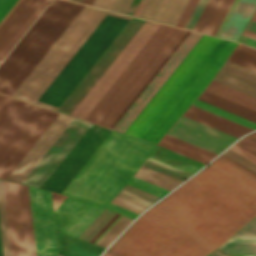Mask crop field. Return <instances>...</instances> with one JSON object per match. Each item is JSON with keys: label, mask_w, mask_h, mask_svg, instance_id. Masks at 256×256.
Wrapping results in <instances>:
<instances>
[{"label": "crop field", "mask_w": 256, "mask_h": 256, "mask_svg": "<svg viewBox=\"0 0 256 256\" xmlns=\"http://www.w3.org/2000/svg\"><path fill=\"white\" fill-rule=\"evenodd\" d=\"M256 215V175L220 155L140 216L114 256H205Z\"/></svg>", "instance_id": "1"}, {"label": "crop field", "mask_w": 256, "mask_h": 256, "mask_svg": "<svg viewBox=\"0 0 256 256\" xmlns=\"http://www.w3.org/2000/svg\"><path fill=\"white\" fill-rule=\"evenodd\" d=\"M185 32L161 24L85 120L109 128ZM201 36L186 32L110 129L125 131Z\"/></svg>", "instance_id": "2"}, {"label": "crop field", "mask_w": 256, "mask_h": 256, "mask_svg": "<svg viewBox=\"0 0 256 256\" xmlns=\"http://www.w3.org/2000/svg\"><path fill=\"white\" fill-rule=\"evenodd\" d=\"M210 36L203 35L202 38L197 42L193 49L188 53L180 65L175 69L171 76L166 80L162 87L157 91L153 98L148 102L140 114L135 118L131 125L126 129L125 133L132 134V132L137 128L141 121L146 117L150 110L155 106L159 99L164 95L168 88L173 84L177 77L182 73L186 66L191 62L195 55L200 51L204 44L209 40ZM219 38L211 37L210 40L205 44L201 51L196 55L192 62L187 66L183 73L178 77L174 84L169 88L165 95L160 99L156 106L151 110L147 117L142 121L138 128L133 132V136L141 138L146 130L151 126L163 109L168 105L180 88L185 84L193 72L198 68L210 51L219 42ZM227 40L221 39L216 47L211 51L199 68L194 72L182 89L177 93L169 105L164 109L152 126L143 135L142 139L148 140L153 132L158 128L170 111L175 107L187 90L192 86L200 74L205 70L217 53L226 44ZM237 43L228 41L223 49L218 53L206 70L201 74L189 91L184 95L176 107L171 111L159 128L150 137L149 141L157 143L160 137L165 133V131L172 125V123L181 115V113L191 104V102L196 98V96L204 89V87L210 82L217 70L220 68L222 63L228 57L230 52L236 46Z\"/></svg>", "instance_id": "3"}, {"label": "crop field", "mask_w": 256, "mask_h": 256, "mask_svg": "<svg viewBox=\"0 0 256 256\" xmlns=\"http://www.w3.org/2000/svg\"><path fill=\"white\" fill-rule=\"evenodd\" d=\"M154 146L112 131L62 193L105 206Z\"/></svg>", "instance_id": "4"}, {"label": "crop field", "mask_w": 256, "mask_h": 256, "mask_svg": "<svg viewBox=\"0 0 256 256\" xmlns=\"http://www.w3.org/2000/svg\"><path fill=\"white\" fill-rule=\"evenodd\" d=\"M82 6L66 0H53L46 7L0 64V92L12 94Z\"/></svg>", "instance_id": "5"}, {"label": "crop field", "mask_w": 256, "mask_h": 256, "mask_svg": "<svg viewBox=\"0 0 256 256\" xmlns=\"http://www.w3.org/2000/svg\"><path fill=\"white\" fill-rule=\"evenodd\" d=\"M107 12L84 5L12 96L35 103Z\"/></svg>", "instance_id": "6"}, {"label": "crop field", "mask_w": 256, "mask_h": 256, "mask_svg": "<svg viewBox=\"0 0 256 256\" xmlns=\"http://www.w3.org/2000/svg\"><path fill=\"white\" fill-rule=\"evenodd\" d=\"M22 100L0 94V129ZM58 112L23 101L0 130V178L5 179Z\"/></svg>", "instance_id": "7"}, {"label": "crop field", "mask_w": 256, "mask_h": 256, "mask_svg": "<svg viewBox=\"0 0 256 256\" xmlns=\"http://www.w3.org/2000/svg\"><path fill=\"white\" fill-rule=\"evenodd\" d=\"M130 18L109 11L36 104L56 110Z\"/></svg>", "instance_id": "8"}, {"label": "crop field", "mask_w": 256, "mask_h": 256, "mask_svg": "<svg viewBox=\"0 0 256 256\" xmlns=\"http://www.w3.org/2000/svg\"><path fill=\"white\" fill-rule=\"evenodd\" d=\"M110 132L90 123L40 188L61 193Z\"/></svg>", "instance_id": "9"}, {"label": "crop field", "mask_w": 256, "mask_h": 256, "mask_svg": "<svg viewBox=\"0 0 256 256\" xmlns=\"http://www.w3.org/2000/svg\"><path fill=\"white\" fill-rule=\"evenodd\" d=\"M144 22L145 20L134 17L131 18V20L126 24V26L108 46L104 53L99 57L95 64L90 68V70L85 74V76L67 96L63 103L58 107L57 111L67 114L70 113V111L75 107V105L105 71V69L129 42V40L133 37V35L138 31Z\"/></svg>", "instance_id": "10"}, {"label": "crop field", "mask_w": 256, "mask_h": 256, "mask_svg": "<svg viewBox=\"0 0 256 256\" xmlns=\"http://www.w3.org/2000/svg\"><path fill=\"white\" fill-rule=\"evenodd\" d=\"M36 256H57L50 192L29 187Z\"/></svg>", "instance_id": "11"}, {"label": "crop field", "mask_w": 256, "mask_h": 256, "mask_svg": "<svg viewBox=\"0 0 256 256\" xmlns=\"http://www.w3.org/2000/svg\"><path fill=\"white\" fill-rule=\"evenodd\" d=\"M88 124L89 122L73 118L22 183L39 187Z\"/></svg>", "instance_id": "12"}, {"label": "crop field", "mask_w": 256, "mask_h": 256, "mask_svg": "<svg viewBox=\"0 0 256 256\" xmlns=\"http://www.w3.org/2000/svg\"><path fill=\"white\" fill-rule=\"evenodd\" d=\"M167 134L218 154L237 137L198 123L183 116L173 124Z\"/></svg>", "instance_id": "13"}, {"label": "crop field", "mask_w": 256, "mask_h": 256, "mask_svg": "<svg viewBox=\"0 0 256 256\" xmlns=\"http://www.w3.org/2000/svg\"><path fill=\"white\" fill-rule=\"evenodd\" d=\"M104 209L67 197L54 211L55 228L78 237Z\"/></svg>", "instance_id": "14"}, {"label": "crop field", "mask_w": 256, "mask_h": 256, "mask_svg": "<svg viewBox=\"0 0 256 256\" xmlns=\"http://www.w3.org/2000/svg\"><path fill=\"white\" fill-rule=\"evenodd\" d=\"M3 191L12 256H26L18 184L4 181Z\"/></svg>", "instance_id": "15"}, {"label": "crop field", "mask_w": 256, "mask_h": 256, "mask_svg": "<svg viewBox=\"0 0 256 256\" xmlns=\"http://www.w3.org/2000/svg\"><path fill=\"white\" fill-rule=\"evenodd\" d=\"M72 117L59 113L30 151L19 162L6 179L21 183L36 162L62 132Z\"/></svg>", "instance_id": "16"}, {"label": "crop field", "mask_w": 256, "mask_h": 256, "mask_svg": "<svg viewBox=\"0 0 256 256\" xmlns=\"http://www.w3.org/2000/svg\"><path fill=\"white\" fill-rule=\"evenodd\" d=\"M189 0H148L140 17L175 26Z\"/></svg>", "instance_id": "17"}, {"label": "crop field", "mask_w": 256, "mask_h": 256, "mask_svg": "<svg viewBox=\"0 0 256 256\" xmlns=\"http://www.w3.org/2000/svg\"><path fill=\"white\" fill-rule=\"evenodd\" d=\"M159 25H160L159 23H155V22L152 23V25L148 28V30L143 34V36L139 39V41L135 44V46L130 50V52L126 55V57L122 60V62L117 66V68L113 71V73L109 76V78L104 82V84L100 87V89L96 92V94L91 98V100L83 108V110L78 114L77 116L78 118H82V119L85 118V116L94 107V105L98 102V100L102 97V95L107 91V89L111 86V84L115 81V79L120 75V73L124 70V68L128 65V63L133 59V57L137 54V52L141 49V47L146 43V41L150 38V36L154 33V31L159 27Z\"/></svg>", "instance_id": "18"}, {"label": "crop field", "mask_w": 256, "mask_h": 256, "mask_svg": "<svg viewBox=\"0 0 256 256\" xmlns=\"http://www.w3.org/2000/svg\"><path fill=\"white\" fill-rule=\"evenodd\" d=\"M183 116L235 135L237 137L252 130L193 105H191V107L183 114Z\"/></svg>", "instance_id": "19"}, {"label": "crop field", "mask_w": 256, "mask_h": 256, "mask_svg": "<svg viewBox=\"0 0 256 256\" xmlns=\"http://www.w3.org/2000/svg\"><path fill=\"white\" fill-rule=\"evenodd\" d=\"M255 8L256 0H240L221 37L237 40Z\"/></svg>", "instance_id": "20"}, {"label": "crop field", "mask_w": 256, "mask_h": 256, "mask_svg": "<svg viewBox=\"0 0 256 256\" xmlns=\"http://www.w3.org/2000/svg\"><path fill=\"white\" fill-rule=\"evenodd\" d=\"M152 22L146 21L145 24L140 28V30L135 34V36L130 40V42L125 46V48L120 52V54L115 58V60L110 64V66L106 69V71L101 75V77L96 81V83L91 87V89L86 93V95L82 98V100L77 104V106L73 109L70 115L76 117L77 114L81 111V109L86 105V103L90 100V98L94 95V93L99 89V87L103 84V82L107 79V77L112 73V71L116 68V66L120 63V61L125 57V55L129 52V50L133 47V45L138 41V39L142 36V34L146 31V29L151 25Z\"/></svg>", "instance_id": "21"}, {"label": "crop field", "mask_w": 256, "mask_h": 256, "mask_svg": "<svg viewBox=\"0 0 256 256\" xmlns=\"http://www.w3.org/2000/svg\"><path fill=\"white\" fill-rule=\"evenodd\" d=\"M40 0H22L0 26V49Z\"/></svg>", "instance_id": "22"}, {"label": "crop field", "mask_w": 256, "mask_h": 256, "mask_svg": "<svg viewBox=\"0 0 256 256\" xmlns=\"http://www.w3.org/2000/svg\"><path fill=\"white\" fill-rule=\"evenodd\" d=\"M60 256H98L103 248L56 232Z\"/></svg>", "instance_id": "23"}, {"label": "crop field", "mask_w": 256, "mask_h": 256, "mask_svg": "<svg viewBox=\"0 0 256 256\" xmlns=\"http://www.w3.org/2000/svg\"><path fill=\"white\" fill-rule=\"evenodd\" d=\"M149 158L172 166L189 174L193 173L195 170L203 165L182 155L174 153L170 150L162 148L158 145H156Z\"/></svg>", "instance_id": "24"}, {"label": "crop field", "mask_w": 256, "mask_h": 256, "mask_svg": "<svg viewBox=\"0 0 256 256\" xmlns=\"http://www.w3.org/2000/svg\"><path fill=\"white\" fill-rule=\"evenodd\" d=\"M159 145L206 163L216 154L165 134Z\"/></svg>", "instance_id": "25"}, {"label": "crop field", "mask_w": 256, "mask_h": 256, "mask_svg": "<svg viewBox=\"0 0 256 256\" xmlns=\"http://www.w3.org/2000/svg\"><path fill=\"white\" fill-rule=\"evenodd\" d=\"M205 91L256 110V98L211 81Z\"/></svg>", "instance_id": "26"}, {"label": "crop field", "mask_w": 256, "mask_h": 256, "mask_svg": "<svg viewBox=\"0 0 256 256\" xmlns=\"http://www.w3.org/2000/svg\"><path fill=\"white\" fill-rule=\"evenodd\" d=\"M198 99L256 122V111L203 91Z\"/></svg>", "instance_id": "27"}, {"label": "crop field", "mask_w": 256, "mask_h": 256, "mask_svg": "<svg viewBox=\"0 0 256 256\" xmlns=\"http://www.w3.org/2000/svg\"><path fill=\"white\" fill-rule=\"evenodd\" d=\"M19 188H20V196H21L23 221H24L27 255L28 256H35L33 233H32V224H31V216H30V207H29V198H28V190H27L26 185H20L19 184Z\"/></svg>", "instance_id": "28"}, {"label": "crop field", "mask_w": 256, "mask_h": 256, "mask_svg": "<svg viewBox=\"0 0 256 256\" xmlns=\"http://www.w3.org/2000/svg\"><path fill=\"white\" fill-rule=\"evenodd\" d=\"M116 197L128 201L132 204L140 206L144 209L154 203L159 197L150 193L137 189L126 184L124 188L116 195Z\"/></svg>", "instance_id": "29"}, {"label": "crop field", "mask_w": 256, "mask_h": 256, "mask_svg": "<svg viewBox=\"0 0 256 256\" xmlns=\"http://www.w3.org/2000/svg\"><path fill=\"white\" fill-rule=\"evenodd\" d=\"M134 177L170 191L181 181L141 166Z\"/></svg>", "instance_id": "30"}, {"label": "crop field", "mask_w": 256, "mask_h": 256, "mask_svg": "<svg viewBox=\"0 0 256 256\" xmlns=\"http://www.w3.org/2000/svg\"><path fill=\"white\" fill-rule=\"evenodd\" d=\"M213 81L256 97V85L219 70Z\"/></svg>", "instance_id": "31"}, {"label": "crop field", "mask_w": 256, "mask_h": 256, "mask_svg": "<svg viewBox=\"0 0 256 256\" xmlns=\"http://www.w3.org/2000/svg\"><path fill=\"white\" fill-rule=\"evenodd\" d=\"M49 1L50 0H41L39 4L34 8V10L26 18V20L21 24V26L17 29V31L13 34V36L8 40V42L0 50V60L3 59V57L12 48V46L16 43V41L20 38V36L29 27V25L33 22V20L37 17V15L41 12V10L46 6V4Z\"/></svg>", "instance_id": "32"}, {"label": "crop field", "mask_w": 256, "mask_h": 256, "mask_svg": "<svg viewBox=\"0 0 256 256\" xmlns=\"http://www.w3.org/2000/svg\"><path fill=\"white\" fill-rule=\"evenodd\" d=\"M228 60L256 71V50L238 44Z\"/></svg>", "instance_id": "33"}, {"label": "crop field", "mask_w": 256, "mask_h": 256, "mask_svg": "<svg viewBox=\"0 0 256 256\" xmlns=\"http://www.w3.org/2000/svg\"><path fill=\"white\" fill-rule=\"evenodd\" d=\"M193 105L198 106V107H200V108H203V109H205V110H208V111H210V112H213V113H215V114H218V115H220V116H223V117H225V118H227V119H230V120H232V121H235V122H237V123H240V124H242V125H245V126H247V127H250V128H252V129H255V128H256V123H255V122H252V121H250V120H247V119H245V118H242V117H240V116H237V115H235V114H232V113H230V112H228V111H225V110H223V109H220V108H218V107H215V106H213V105H210V104H208V103H205V102L200 101V100H198V99L195 100V102L193 103Z\"/></svg>", "instance_id": "34"}, {"label": "crop field", "mask_w": 256, "mask_h": 256, "mask_svg": "<svg viewBox=\"0 0 256 256\" xmlns=\"http://www.w3.org/2000/svg\"><path fill=\"white\" fill-rule=\"evenodd\" d=\"M115 212L104 210L92 224L79 236L88 242L102 229V227L111 219Z\"/></svg>", "instance_id": "35"}, {"label": "crop field", "mask_w": 256, "mask_h": 256, "mask_svg": "<svg viewBox=\"0 0 256 256\" xmlns=\"http://www.w3.org/2000/svg\"><path fill=\"white\" fill-rule=\"evenodd\" d=\"M218 250L224 253L256 254V243L227 241Z\"/></svg>", "instance_id": "36"}, {"label": "crop field", "mask_w": 256, "mask_h": 256, "mask_svg": "<svg viewBox=\"0 0 256 256\" xmlns=\"http://www.w3.org/2000/svg\"><path fill=\"white\" fill-rule=\"evenodd\" d=\"M221 70L256 84V72L226 60Z\"/></svg>", "instance_id": "37"}, {"label": "crop field", "mask_w": 256, "mask_h": 256, "mask_svg": "<svg viewBox=\"0 0 256 256\" xmlns=\"http://www.w3.org/2000/svg\"><path fill=\"white\" fill-rule=\"evenodd\" d=\"M143 166L148 167L153 170H156V171L166 174L168 176L174 177L181 181L185 180L189 176V174H187V173H184V172L174 169L172 167L166 166L164 164H161V163L151 160L149 158H147V160L144 162Z\"/></svg>", "instance_id": "38"}, {"label": "crop field", "mask_w": 256, "mask_h": 256, "mask_svg": "<svg viewBox=\"0 0 256 256\" xmlns=\"http://www.w3.org/2000/svg\"><path fill=\"white\" fill-rule=\"evenodd\" d=\"M0 227H1V236H2L4 256H11L1 180H0Z\"/></svg>", "instance_id": "39"}, {"label": "crop field", "mask_w": 256, "mask_h": 256, "mask_svg": "<svg viewBox=\"0 0 256 256\" xmlns=\"http://www.w3.org/2000/svg\"><path fill=\"white\" fill-rule=\"evenodd\" d=\"M220 0H209L202 14L200 15L193 30L204 33L213 13L215 12Z\"/></svg>", "instance_id": "40"}, {"label": "crop field", "mask_w": 256, "mask_h": 256, "mask_svg": "<svg viewBox=\"0 0 256 256\" xmlns=\"http://www.w3.org/2000/svg\"><path fill=\"white\" fill-rule=\"evenodd\" d=\"M132 220L122 216L116 224L103 236L97 243L103 247H107L109 243L131 222Z\"/></svg>", "instance_id": "41"}, {"label": "crop field", "mask_w": 256, "mask_h": 256, "mask_svg": "<svg viewBox=\"0 0 256 256\" xmlns=\"http://www.w3.org/2000/svg\"><path fill=\"white\" fill-rule=\"evenodd\" d=\"M232 0H221L215 14L213 15L205 33L214 35L218 25L220 24L223 16L225 15Z\"/></svg>", "instance_id": "42"}, {"label": "crop field", "mask_w": 256, "mask_h": 256, "mask_svg": "<svg viewBox=\"0 0 256 256\" xmlns=\"http://www.w3.org/2000/svg\"><path fill=\"white\" fill-rule=\"evenodd\" d=\"M228 240L256 241V217L253 218Z\"/></svg>", "instance_id": "43"}, {"label": "crop field", "mask_w": 256, "mask_h": 256, "mask_svg": "<svg viewBox=\"0 0 256 256\" xmlns=\"http://www.w3.org/2000/svg\"><path fill=\"white\" fill-rule=\"evenodd\" d=\"M222 155L226 156L227 158L233 160L234 162L256 174V164L243 157L242 155L238 154L234 150L229 148Z\"/></svg>", "instance_id": "44"}, {"label": "crop field", "mask_w": 256, "mask_h": 256, "mask_svg": "<svg viewBox=\"0 0 256 256\" xmlns=\"http://www.w3.org/2000/svg\"><path fill=\"white\" fill-rule=\"evenodd\" d=\"M128 184H130V185H133V186H135V187H137V188H140V189H142V190H145V191H147V192H150V193H152V194H154V195H157V196H159V197H161V196H163L164 194H166L168 191H166V190H163V189H161V188H158V187H156V186H153V185H151V184H149V183H146V182H144V181H141V180H139V179H136V178H134V177H132L131 179H130V181L128 182Z\"/></svg>", "instance_id": "45"}, {"label": "crop field", "mask_w": 256, "mask_h": 256, "mask_svg": "<svg viewBox=\"0 0 256 256\" xmlns=\"http://www.w3.org/2000/svg\"><path fill=\"white\" fill-rule=\"evenodd\" d=\"M207 0H199L193 13L191 14L185 28L186 29H190L192 30L196 20L198 19L202 9L204 8L205 4H206ZM184 28V27H183Z\"/></svg>", "instance_id": "46"}, {"label": "crop field", "mask_w": 256, "mask_h": 256, "mask_svg": "<svg viewBox=\"0 0 256 256\" xmlns=\"http://www.w3.org/2000/svg\"><path fill=\"white\" fill-rule=\"evenodd\" d=\"M198 0H190L177 26L184 27ZM176 26V25H175Z\"/></svg>", "instance_id": "47"}, {"label": "crop field", "mask_w": 256, "mask_h": 256, "mask_svg": "<svg viewBox=\"0 0 256 256\" xmlns=\"http://www.w3.org/2000/svg\"><path fill=\"white\" fill-rule=\"evenodd\" d=\"M238 1H239V0H233L231 6L229 7V9H228L226 15H225L224 18H223V20H222L220 26L218 27V29H217V31H216V33H215V36H218V37H219L220 34L222 33V31H223V29H224L226 23L228 22V20H229L231 14H232V12L234 11V9H235V7H236Z\"/></svg>", "instance_id": "48"}, {"label": "crop field", "mask_w": 256, "mask_h": 256, "mask_svg": "<svg viewBox=\"0 0 256 256\" xmlns=\"http://www.w3.org/2000/svg\"><path fill=\"white\" fill-rule=\"evenodd\" d=\"M111 203L116 204V205H118V206H120V207H123V208H125V209H128V210H130V211H132V212H135V213H137V214H140V213L144 210V209H142V208H140V207H137V206H135V205H132V204H130V203H128V202H125V201H123V200H120V199H118V198H116V197L113 198V200L111 201Z\"/></svg>", "instance_id": "49"}, {"label": "crop field", "mask_w": 256, "mask_h": 256, "mask_svg": "<svg viewBox=\"0 0 256 256\" xmlns=\"http://www.w3.org/2000/svg\"><path fill=\"white\" fill-rule=\"evenodd\" d=\"M131 0H114L110 9L125 13Z\"/></svg>", "instance_id": "50"}, {"label": "crop field", "mask_w": 256, "mask_h": 256, "mask_svg": "<svg viewBox=\"0 0 256 256\" xmlns=\"http://www.w3.org/2000/svg\"><path fill=\"white\" fill-rule=\"evenodd\" d=\"M16 1L17 0H0V20Z\"/></svg>", "instance_id": "51"}, {"label": "crop field", "mask_w": 256, "mask_h": 256, "mask_svg": "<svg viewBox=\"0 0 256 256\" xmlns=\"http://www.w3.org/2000/svg\"><path fill=\"white\" fill-rule=\"evenodd\" d=\"M106 207H108V208H110V209H112L114 211H117V212H119V213H121L123 215H126V216H128V217H130L132 219H134L137 216V214L132 213V212H130L128 210H125L123 208H120V207H118L116 205H113L111 203H109Z\"/></svg>", "instance_id": "52"}, {"label": "crop field", "mask_w": 256, "mask_h": 256, "mask_svg": "<svg viewBox=\"0 0 256 256\" xmlns=\"http://www.w3.org/2000/svg\"><path fill=\"white\" fill-rule=\"evenodd\" d=\"M230 148L234 149L238 153L242 154L243 156L247 157L248 159H250L256 163V157L254 155L250 154L249 152L245 151L244 149L240 148L239 146L234 144Z\"/></svg>", "instance_id": "53"}, {"label": "crop field", "mask_w": 256, "mask_h": 256, "mask_svg": "<svg viewBox=\"0 0 256 256\" xmlns=\"http://www.w3.org/2000/svg\"><path fill=\"white\" fill-rule=\"evenodd\" d=\"M112 1L113 0H94L92 5L93 6H97V7H102V8L109 9Z\"/></svg>", "instance_id": "54"}, {"label": "crop field", "mask_w": 256, "mask_h": 256, "mask_svg": "<svg viewBox=\"0 0 256 256\" xmlns=\"http://www.w3.org/2000/svg\"><path fill=\"white\" fill-rule=\"evenodd\" d=\"M53 197V207L54 210L60 205V203L66 198L65 196L59 195L57 193L52 192Z\"/></svg>", "instance_id": "55"}, {"label": "crop field", "mask_w": 256, "mask_h": 256, "mask_svg": "<svg viewBox=\"0 0 256 256\" xmlns=\"http://www.w3.org/2000/svg\"><path fill=\"white\" fill-rule=\"evenodd\" d=\"M238 40L241 41V42H243V43H245V44H248V45H250V46L256 48V41L253 40V39H250V38H248V37H245V36L241 35ZM239 41H238V42H239ZM241 42H240V43H241Z\"/></svg>", "instance_id": "56"}, {"label": "crop field", "mask_w": 256, "mask_h": 256, "mask_svg": "<svg viewBox=\"0 0 256 256\" xmlns=\"http://www.w3.org/2000/svg\"><path fill=\"white\" fill-rule=\"evenodd\" d=\"M146 1H147V0H140L138 6L136 7V9H135V11H134V13H133V16L139 17V15H140V13H141V11H142V9H143V7H144Z\"/></svg>", "instance_id": "57"}, {"label": "crop field", "mask_w": 256, "mask_h": 256, "mask_svg": "<svg viewBox=\"0 0 256 256\" xmlns=\"http://www.w3.org/2000/svg\"><path fill=\"white\" fill-rule=\"evenodd\" d=\"M235 144L239 145L240 147L244 148L245 150L249 151L250 153H252L256 156V150H254L253 148L242 143L240 140L238 142H236Z\"/></svg>", "instance_id": "58"}, {"label": "crop field", "mask_w": 256, "mask_h": 256, "mask_svg": "<svg viewBox=\"0 0 256 256\" xmlns=\"http://www.w3.org/2000/svg\"><path fill=\"white\" fill-rule=\"evenodd\" d=\"M139 0H132L130 6L128 7L127 11H126V14H130L132 15L135 7L137 6Z\"/></svg>", "instance_id": "59"}, {"label": "crop field", "mask_w": 256, "mask_h": 256, "mask_svg": "<svg viewBox=\"0 0 256 256\" xmlns=\"http://www.w3.org/2000/svg\"><path fill=\"white\" fill-rule=\"evenodd\" d=\"M119 214H115L114 216H113V218L104 226V228L95 236V238L91 241V243H93L98 237H99V235L112 223V221L118 216Z\"/></svg>", "instance_id": "60"}, {"label": "crop field", "mask_w": 256, "mask_h": 256, "mask_svg": "<svg viewBox=\"0 0 256 256\" xmlns=\"http://www.w3.org/2000/svg\"><path fill=\"white\" fill-rule=\"evenodd\" d=\"M246 29L256 32V22L250 20V22L246 26Z\"/></svg>", "instance_id": "61"}, {"label": "crop field", "mask_w": 256, "mask_h": 256, "mask_svg": "<svg viewBox=\"0 0 256 256\" xmlns=\"http://www.w3.org/2000/svg\"><path fill=\"white\" fill-rule=\"evenodd\" d=\"M121 217V215H119L114 221L113 223L100 235V237L94 242V244H96L101 238L102 236L115 224V222Z\"/></svg>", "instance_id": "62"}, {"label": "crop field", "mask_w": 256, "mask_h": 256, "mask_svg": "<svg viewBox=\"0 0 256 256\" xmlns=\"http://www.w3.org/2000/svg\"><path fill=\"white\" fill-rule=\"evenodd\" d=\"M21 0H18L13 7L7 12V14L3 17V19L0 21V25L4 22V20L8 17V15L13 11V9L17 6V4L20 2Z\"/></svg>", "instance_id": "63"}, {"label": "crop field", "mask_w": 256, "mask_h": 256, "mask_svg": "<svg viewBox=\"0 0 256 256\" xmlns=\"http://www.w3.org/2000/svg\"><path fill=\"white\" fill-rule=\"evenodd\" d=\"M244 138L250 140L251 142L255 143L256 144V132L254 133H251L247 136H245Z\"/></svg>", "instance_id": "64"}, {"label": "crop field", "mask_w": 256, "mask_h": 256, "mask_svg": "<svg viewBox=\"0 0 256 256\" xmlns=\"http://www.w3.org/2000/svg\"><path fill=\"white\" fill-rule=\"evenodd\" d=\"M243 35L248 36V37L253 38V39L256 40V33H253V32L248 31L246 29L244 30Z\"/></svg>", "instance_id": "65"}, {"label": "crop field", "mask_w": 256, "mask_h": 256, "mask_svg": "<svg viewBox=\"0 0 256 256\" xmlns=\"http://www.w3.org/2000/svg\"><path fill=\"white\" fill-rule=\"evenodd\" d=\"M208 256H228V255H225L217 250H215L214 252H212L211 254H209Z\"/></svg>", "instance_id": "66"}, {"label": "crop field", "mask_w": 256, "mask_h": 256, "mask_svg": "<svg viewBox=\"0 0 256 256\" xmlns=\"http://www.w3.org/2000/svg\"><path fill=\"white\" fill-rule=\"evenodd\" d=\"M240 140L244 141L245 143L249 144L250 146L254 147L256 149V145H254L253 143L249 142L248 140L241 138Z\"/></svg>", "instance_id": "67"}, {"label": "crop field", "mask_w": 256, "mask_h": 256, "mask_svg": "<svg viewBox=\"0 0 256 256\" xmlns=\"http://www.w3.org/2000/svg\"><path fill=\"white\" fill-rule=\"evenodd\" d=\"M0 256H3V253H2V244H1V236H0Z\"/></svg>", "instance_id": "68"}, {"label": "crop field", "mask_w": 256, "mask_h": 256, "mask_svg": "<svg viewBox=\"0 0 256 256\" xmlns=\"http://www.w3.org/2000/svg\"><path fill=\"white\" fill-rule=\"evenodd\" d=\"M92 1H93V0H85L84 3L91 5Z\"/></svg>", "instance_id": "69"}, {"label": "crop field", "mask_w": 256, "mask_h": 256, "mask_svg": "<svg viewBox=\"0 0 256 256\" xmlns=\"http://www.w3.org/2000/svg\"><path fill=\"white\" fill-rule=\"evenodd\" d=\"M252 20L256 21V12L254 13Z\"/></svg>", "instance_id": "70"}, {"label": "crop field", "mask_w": 256, "mask_h": 256, "mask_svg": "<svg viewBox=\"0 0 256 256\" xmlns=\"http://www.w3.org/2000/svg\"><path fill=\"white\" fill-rule=\"evenodd\" d=\"M103 256H112V255L105 252V254Z\"/></svg>", "instance_id": "71"}, {"label": "crop field", "mask_w": 256, "mask_h": 256, "mask_svg": "<svg viewBox=\"0 0 256 256\" xmlns=\"http://www.w3.org/2000/svg\"><path fill=\"white\" fill-rule=\"evenodd\" d=\"M74 1H78V2H81V3H83V1H84V0H74Z\"/></svg>", "instance_id": "72"}]
</instances>
